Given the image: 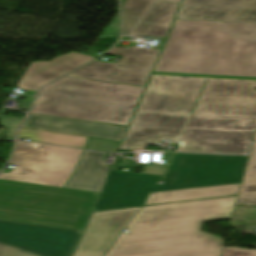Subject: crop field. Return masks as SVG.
I'll list each match as a JSON object with an SVG mask.
<instances>
[{
	"label": "crop field",
	"instance_id": "d8731c3e",
	"mask_svg": "<svg viewBox=\"0 0 256 256\" xmlns=\"http://www.w3.org/2000/svg\"><path fill=\"white\" fill-rule=\"evenodd\" d=\"M83 151L18 142L11 163L18 166L0 174V179L31 182L63 188Z\"/></svg>",
	"mask_w": 256,
	"mask_h": 256
},
{
	"label": "crop field",
	"instance_id": "d9b57169",
	"mask_svg": "<svg viewBox=\"0 0 256 256\" xmlns=\"http://www.w3.org/2000/svg\"><path fill=\"white\" fill-rule=\"evenodd\" d=\"M104 155L86 151L66 187L100 192L110 170L103 161Z\"/></svg>",
	"mask_w": 256,
	"mask_h": 256
},
{
	"label": "crop field",
	"instance_id": "412701ff",
	"mask_svg": "<svg viewBox=\"0 0 256 256\" xmlns=\"http://www.w3.org/2000/svg\"><path fill=\"white\" fill-rule=\"evenodd\" d=\"M143 89L64 77L38 94L31 113L127 126Z\"/></svg>",
	"mask_w": 256,
	"mask_h": 256
},
{
	"label": "crop field",
	"instance_id": "214f88e0",
	"mask_svg": "<svg viewBox=\"0 0 256 256\" xmlns=\"http://www.w3.org/2000/svg\"><path fill=\"white\" fill-rule=\"evenodd\" d=\"M237 204L256 205V143L252 146L250 160L247 165Z\"/></svg>",
	"mask_w": 256,
	"mask_h": 256
},
{
	"label": "crop field",
	"instance_id": "f4fd0767",
	"mask_svg": "<svg viewBox=\"0 0 256 256\" xmlns=\"http://www.w3.org/2000/svg\"><path fill=\"white\" fill-rule=\"evenodd\" d=\"M204 79L152 75L120 149L179 140Z\"/></svg>",
	"mask_w": 256,
	"mask_h": 256
},
{
	"label": "crop field",
	"instance_id": "8a807250",
	"mask_svg": "<svg viewBox=\"0 0 256 256\" xmlns=\"http://www.w3.org/2000/svg\"><path fill=\"white\" fill-rule=\"evenodd\" d=\"M237 196L144 207L106 256H221L225 240L200 231L230 218Z\"/></svg>",
	"mask_w": 256,
	"mask_h": 256
},
{
	"label": "crop field",
	"instance_id": "5142ce71",
	"mask_svg": "<svg viewBox=\"0 0 256 256\" xmlns=\"http://www.w3.org/2000/svg\"><path fill=\"white\" fill-rule=\"evenodd\" d=\"M94 58L75 52L60 56L51 62L31 63L17 87L37 91L49 81L83 65Z\"/></svg>",
	"mask_w": 256,
	"mask_h": 256
},
{
	"label": "crop field",
	"instance_id": "92a150f3",
	"mask_svg": "<svg viewBox=\"0 0 256 256\" xmlns=\"http://www.w3.org/2000/svg\"><path fill=\"white\" fill-rule=\"evenodd\" d=\"M155 0H126L122 6L123 35H128Z\"/></svg>",
	"mask_w": 256,
	"mask_h": 256
},
{
	"label": "crop field",
	"instance_id": "4177f3b9",
	"mask_svg": "<svg viewBox=\"0 0 256 256\" xmlns=\"http://www.w3.org/2000/svg\"><path fill=\"white\" fill-rule=\"evenodd\" d=\"M0 256H33L8 245L0 244Z\"/></svg>",
	"mask_w": 256,
	"mask_h": 256
},
{
	"label": "crop field",
	"instance_id": "a9b5d70f",
	"mask_svg": "<svg viewBox=\"0 0 256 256\" xmlns=\"http://www.w3.org/2000/svg\"><path fill=\"white\" fill-rule=\"evenodd\" d=\"M222 256H256V250L224 247Z\"/></svg>",
	"mask_w": 256,
	"mask_h": 256
},
{
	"label": "crop field",
	"instance_id": "733c2abd",
	"mask_svg": "<svg viewBox=\"0 0 256 256\" xmlns=\"http://www.w3.org/2000/svg\"><path fill=\"white\" fill-rule=\"evenodd\" d=\"M179 4L157 2L140 21L132 34L166 38Z\"/></svg>",
	"mask_w": 256,
	"mask_h": 256
},
{
	"label": "crop field",
	"instance_id": "22f410ed",
	"mask_svg": "<svg viewBox=\"0 0 256 256\" xmlns=\"http://www.w3.org/2000/svg\"><path fill=\"white\" fill-rule=\"evenodd\" d=\"M176 19L256 23V0H183Z\"/></svg>",
	"mask_w": 256,
	"mask_h": 256
},
{
	"label": "crop field",
	"instance_id": "dd49c442",
	"mask_svg": "<svg viewBox=\"0 0 256 256\" xmlns=\"http://www.w3.org/2000/svg\"><path fill=\"white\" fill-rule=\"evenodd\" d=\"M97 195L0 180V219L82 230Z\"/></svg>",
	"mask_w": 256,
	"mask_h": 256
},
{
	"label": "crop field",
	"instance_id": "ac0d7876",
	"mask_svg": "<svg viewBox=\"0 0 256 256\" xmlns=\"http://www.w3.org/2000/svg\"><path fill=\"white\" fill-rule=\"evenodd\" d=\"M153 74L256 80V24L176 20Z\"/></svg>",
	"mask_w": 256,
	"mask_h": 256
},
{
	"label": "crop field",
	"instance_id": "3316defc",
	"mask_svg": "<svg viewBox=\"0 0 256 256\" xmlns=\"http://www.w3.org/2000/svg\"><path fill=\"white\" fill-rule=\"evenodd\" d=\"M81 232L0 221V243L36 256H70Z\"/></svg>",
	"mask_w": 256,
	"mask_h": 256
},
{
	"label": "crop field",
	"instance_id": "00972430",
	"mask_svg": "<svg viewBox=\"0 0 256 256\" xmlns=\"http://www.w3.org/2000/svg\"><path fill=\"white\" fill-rule=\"evenodd\" d=\"M22 119L14 118V117H7L0 115V123L2 127H9L6 139L14 140L16 131Z\"/></svg>",
	"mask_w": 256,
	"mask_h": 256
},
{
	"label": "crop field",
	"instance_id": "cbeb9de0",
	"mask_svg": "<svg viewBox=\"0 0 256 256\" xmlns=\"http://www.w3.org/2000/svg\"><path fill=\"white\" fill-rule=\"evenodd\" d=\"M22 128L121 141L127 128L30 114Z\"/></svg>",
	"mask_w": 256,
	"mask_h": 256
},
{
	"label": "crop field",
	"instance_id": "d1516ede",
	"mask_svg": "<svg viewBox=\"0 0 256 256\" xmlns=\"http://www.w3.org/2000/svg\"><path fill=\"white\" fill-rule=\"evenodd\" d=\"M140 208L93 213L73 256H103Z\"/></svg>",
	"mask_w": 256,
	"mask_h": 256
},
{
	"label": "crop field",
	"instance_id": "4a817a6b",
	"mask_svg": "<svg viewBox=\"0 0 256 256\" xmlns=\"http://www.w3.org/2000/svg\"><path fill=\"white\" fill-rule=\"evenodd\" d=\"M239 185L150 193L144 205L234 195L238 193Z\"/></svg>",
	"mask_w": 256,
	"mask_h": 256
},
{
	"label": "crop field",
	"instance_id": "28ad6ade",
	"mask_svg": "<svg viewBox=\"0 0 256 256\" xmlns=\"http://www.w3.org/2000/svg\"><path fill=\"white\" fill-rule=\"evenodd\" d=\"M159 177L111 170L93 211L142 205Z\"/></svg>",
	"mask_w": 256,
	"mask_h": 256
},
{
	"label": "crop field",
	"instance_id": "34b2d1b8",
	"mask_svg": "<svg viewBox=\"0 0 256 256\" xmlns=\"http://www.w3.org/2000/svg\"><path fill=\"white\" fill-rule=\"evenodd\" d=\"M256 81L208 78L178 151L244 154L256 130Z\"/></svg>",
	"mask_w": 256,
	"mask_h": 256
},
{
	"label": "crop field",
	"instance_id": "730fd06b",
	"mask_svg": "<svg viewBox=\"0 0 256 256\" xmlns=\"http://www.w3.org/2000/svg\"><path fill=\"white\" fill-rule=\"evenodd\" d=\"M158 1L181 2V0H158Z\"/></svg>",
	"mask_w": 256,
	"mask_h": 256
},
{
	"label": "crop field",
	"instance_id": "eef30255",
	"mask_svg": "<svg viewBox=\"0 0 256 256\" xmlns=\"http://www.w3.org/2000/svg\"><path fill=\"white\" fill-rule=\"evenodd\" d=\"M254 141H256V137H255V140Z\"/></svg>",
	"mask_w": 256,
	"mask_h": 256
},
{
	"label": "crop field",
	"instance_id": "dafd665d",
	"mask_svg": "<svg viewBox=\"0 0 256 256\" xmlns=\"http://www.w3.org/2000/svg\"><path fill=\"white\" fill-rule=\"evenodd\" d=\"M122 142L91 138L86 149L118 152Z\"/></svg>",
	"mask_w": 256,
	"mask_h": 256
},
{
	"label": "crop field",
	"instance_id": "5a996713",
	"mask_svg": "<svg viewBox=\"0 0 256 256\" xmlns=\"http://www.w3.org/2000/svg\"><path fill=\"white\" fill-rule=\"evenodd\" d=\"M159 52L132 46L114 48L107 54L124 56L116 64L93 62L68 76L145 87Z\"/></svg>",
	"mask_w": 256,
	"mask_h": 256
},
{
	"label": "crop field",
	"instance_id": "e52e79f7",
	"mask_svg": "<svg viewBox=\"0 0 256 256\" xmlns=\"http://www.w3.org/2000/svg\"><path fill=\"white\" fill-rule=\"evenodd\" d=\"M247 158L177 153L162 185L151 192L240 183Z\"/></svg>",
	"mask_w": 256,
	"mask_h": 256
},
{
	"label": "crop field",
	"instance_id": "bc2a9ffb",
	"mask_svg": "<svg viewBox=\"0 0 256 256\" xmlns=\"http://www.w3.org/2000/svg\"><path fill=\"white\" fill-rule=\"evenodd\" d=\"M18 137H27L30 139V141H33V142H41V143L81 147V148L85 147L89 139L86 137L25 130V129L20 130Z\"/></svg>",
	"mask_w": 256,
	"mask_h": 256
}]
</instances>
